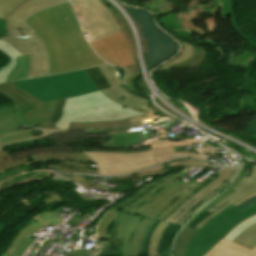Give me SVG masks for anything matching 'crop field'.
Masks as SVG:
<instances>
[{"label":"crop field","mask_w":256,"mask_h":256,"mask_svg":"<svg viewBox=\"0 0 256 256\" xmlns=\"http://www.w3.org/2000/svg\"><path fill=\"white\" fill-rule=\"evenodd\" d=\"M96 162L101 175H120L156 164L152 155L173 152V147L137 152L85 151Z\"/></svg>","instance_id":"crop-field-9"},{"label":"crop field","mask_w":256,"mask_h":256,"mask_svg":"<svg viewBox=\"0 0 256 256\" xmlns=\"http://www.w3.org/2000/svg\"><path fill=\"white\" fill-rule=\"evenodd\" d=\"M86 71L88 72L96 86L99 88V90L109 87L105 80L102 78V74L100 75L96 67L88 68L86 69Z\"/></svg>","instance_id":"crop-field-29"},{"label":"crop field","mask_w":256,"mask_h":256,"mask_svg":"<svg viewBox=\"0 0 256 256\" xmlns=\"http://www.w3.org/2000/svg\"><path fill=\"white\" fill-rule=\"evenodd\" d=\"M140 114L144 113L118 105L98 91L67 99L62 115L55 127L68 128L70 122L121 120Z\"/></svg>","instance_id":"crop-field-6"},{"label":"crop field","mask_w":256,"mask_h":256,"mask_svg":"<svg viewBox=\"0 0 256 256\" xmlns=\"http://www.w3.org/2000/svg\"><path fill=\"white\" fill-rule=\"evenodd\" d=\"M251 179L256 180V165H253Z\"/></svg>","instance_id":"crop-field-42"},{"label":"crop field","mask_w":256,"mask_h":256,"mask_svg":"<svg viewBox=\"0 0 256 256\" xmlns=\"http://www.w3.org/2000/svg\"><path fill=\"white\" fill-rule=\"evenodd\" d=\"M33 241L34 240L26 237L17 244L12 255L6 253V255L3 254V256H21Z\"/></svg>","instance_id":"crop-field-33"},{"label":"crop field","mask_w":256,"mask_h":256,"mask_svg":"<svg viewBox=\"0 0 256 256\" xmlns=\"http://www.w3.org/2000/svg\"><path fill=\"white\" fill-rule=\"evenodd\" d=\"M131 126L128 119L121 121H111L106 123H71L69 128L80 129H106Z\"/></svg>","instance_id":"crop-field-21"},{"label":"crop field","mask_w":256,"mask_h":256,"mask_svg":"<svg viewBox=\"0 0 256 256\" xmlns=\"http://www.w3.org/2000/svg\"><path fill=\"white\" fill-rule=\"evenodd\" d=\"M25 0H3L0 3V18L5 19L9 13Z\"/></svg>","instance_id":"crop-field-28"},{"label":"crop field","mask_w":256,"mask_h":256,"mask_svg":"<svg viewBox=\"0 0 256 256\" xmlns=\"http://www.w3.org/2000/svg\"><path fill=\"white\" fill-rule=\"evenodd\" d=\"M190 61H192V59H189V60H187V61H185V62H183V63H180V64L173 65V66H171V67L165 68V70L179 67V66L184 65L185 63H188V62H190Z\"/></svg>","instance_id":"crop-field-41"},{"label":"crop field","mask_w":256,"mask_h":256,"mask_svg":"<svg viewBox=\"0 0 256 256\" xmlns=\"http://www.w3.org/2000/svg\"><path fill=\"white\" fill-rule=\"evenodd\" d=\"M253 251H255V252H256V247L253 249Z\"/></svg>","instance_id":"crop-field-44"},{"label":"crop field","mask_w":256,"mask_h":256,"mask_svg":"<svg viewBox=\"0 0 256 256\" xmlns=\"http://www.w3.org/2000/svg\"><path fill=\"white\" fill-rule=\"evenodd\" d=\"M195 165V167L209 166L208 162L201 160H193V159H180L175 161H170L168 163L163 164L164 168H174L177 166H191Z\"/></svg>","instance_id":"crop-field-26"},{"label":"crop field","mask_w":256,"mask_h":256,"mask_svg":"<svg viewBox=\"0 0 256 256\" xmlns=\"http://www.w3.org/2000/svg\"><path fill=\"white\" fill-rule=\"evenodd\" d=\"M55 213H42L38 216H36L34 219L39 221L40 223L44 224L45 226L48 225V224H52L53 226H55V224H59L58 223V220L53 218L52 216L54 215Z\"/></svg>","instance_id":"crop-field-34"},{"label":"crop field","mask_w":256,"mask_h":256,"mask_svg":"<svg viewBox=\"0 0 256 256\" xmlns=\"http://www.w3.org/2000/svg\"><path fill=\"white\" fill-rule=\"evenodd\" d=\"M168 224L169 223H166V222H160L158 227L155 229L151 238V242L148 250V256H159L156 254L158 243H159L162 232L164 231V229L167 227Z\"/></svg>","instance_id":"crop-field-25"},{"label":"crop field","mask_w":256,"mask_h":256,"mask_svg":"<svg viewBox=\"0 0 256 256\" xmlns=\"http://www.w3.org/2000/svg\"><path fill=\"white\" fill-rule=\"evenodd\" d=\"M256 204V193L243 199L242 201L238 202L236 206L238 209H240L241 211Z\"/></svg>","instance_id":"crop-field-35"},{"label":"crop field","mask_w":256,"mask_h":256,"mask_svg":"<svg viewBox=\"0 0 256 256\" xmlns=\"http://www.w3.org/2000/svg\"><path fill=\"white\" fill-rule=\"evenodd\" d=\"M183 44V51H182V54L180 56H178L176 59H174L173 61H171L169 64H166L164 67H162L161 69L167 67V66H171L173 64H176V63H180L184 60H187L191 57V52H192V46L190 45H187L185 43H182ZM160 70V69H159ZM158 71V70H156ZM155 71V72H156Z\"/></svg>","instance_id":"crop-field-31"},{"label":"crop field","mask_w":256,"mask_h":256,"mask_svg":"<svg viewBox=\"0 0 256 256\" xmlns=\"http://www.w3.org/2000/svg\"><path fill=\"white\" fill-rule=\"evenodd\" d=\"M46 195H49V197L47 199H45V201L47 203H50V202L55 201V200H57V201L62 200V198L60 196H57V195H52V194H46Z\"/></svg>","instance_id":"crop-field-40"},{"label":"crop field","mask_w":256,"mask_h":256,"mask_svg":"<svg viewBox=\"0 0 256 256\" xmlns=\"http://www.w3.org/2000/svg\"><path fill=\"white\" fill-rule=\"evenodd\" d=\"M256 214V205L239 211L234 206L212 218L189 242L185 256H205L233 227Z\"/></svg>","instance_id":"crop-field-8"},{"label":"crop field","mask_w":256,"mask_h":256,"mask_svg":"<svg viewBox=\"0 0 256 256\" xmlns=\"http://www.w3.org/2000/svg\"><path fill=\"white\" fill-rule=\"evenodd\" d=\"M33 164L30 157L12 161L7 151L0 153V174L18 166Z\"/></svg>","instance_id":"crop-field-23"},{"label":"crop field","mask_w":256,"mask_h":256,"mask_svg":"<svg viewBox=\"0 0 256 256\" xmlns=\"http://www.w3.org/2000/svg\"><path fill=\"white\" fill-rule=\"evenodd\" d=\"M31 96L46 102L98 91L85 69L45 78L12 82Z\"/></svg>","instance_id":"crop-field-7"},{"label":"crop field","mask_w":256,"mask_h":256,"mask_svg":"<svg viewBox=\"0 0 256 256\" xmlns=\"http://www.w3.org/2000/svg\"><path fill=\"white\" fill-rule=\"evenodd\" d=\"M206 51H204L202 48H199V55L198 57H196V59L191 62V63H188L184 66H193V67H196V66H199L201 63H203L205 57H206Z\"/></svg>","instance_id":"crop-field-37"},{"label":"crop field","mask_w":256,"mask_h":256,"mask_svg":"<svg viewBox=\"0 0 256 256\" xmlns=\"http://www.w3.org/2000/svg\"><path fill=\"white\" fill-rule=\"evenodd\" d=\"M54 158H66L78 161H88L93 162L85 153L79 152H63V153H55V154H44L39 156L31 157L33 163L40 161H48Z\"/></svg>","instance_id":"crop-field-20"},{"label":"crop field","mask_w":256,"mask_h":256,"mask_svg":"<svg viewBox=\"0 0 256 256\" xmlns=\"http://www.w3.org/2000/svg\"><path fill=\"white\" fill-rule=\"evenodd\" d=\"M238 168H222L200 184L176 177L131 210V214L183 226L186 221L233 180Z\"/></svg>","instance_id":"crop-field-2"},{"label":"crop field","mask_w":256,"mask_h":256,"mask_svg":"<svg viewBox=\"0 0 256 256\" xmlns=\"http://www.w3.org/2000/svg\"><path fill=\"white\" fill-rule=\"evenodd\" d=\"M247 179H248L247 176L244 174V176L241 179V181L233 188V190H235L238 186H240Z\"/></svg>","instance_id":"crop-field-43"},{"label":"crop field","mask_w":256,"mask_h":256,"mask_svg":"<svg viewBox=\"0 0 256 256\" xmlns=\"http://www.w3.org/2000/svg\"><path fill=\"white\" fill-rule=\"evenodd\" d=\"M56 160H60V159H56ZM62 160H66V159H62ZM86 164L95 165L93 163L67 160V161L55 162L54 165H52L48 168L58 169L62 172L96 173V174H99L98 170L85 168Z\"/></svg>","instance_id":"crop-field-18"},{"label":"crop field","mask_w":256,"mask_h":256,"mask_svg":"<svg viewBox=\"0 0 256 256\" xmlns=\"http://www.w3.org/2000/svg\"><path fill=\"white\" fill-rule=\"evenodd\" d=\"M24 21L46 42L52 74L105 64L83 37L69 2L41 10Z\"/></svg>","instance_id":"crop-field-1"},{"label":"crop field","mask_w":256,"mask_h":256,"mask_svg":"<svg viewBox=\"0 0 256 256\" xmlns=\"http://www.w3.org/2000/svg\"><path fill=\"white\" fill-rule=\"evenodd\" d=\"M243 170L239 169V173L234 180V182L224 191L222 192L219 196L216 198L212 199L205 207H203L198 213H196L186 224V226H189L193 221H195L201 214H203L205 211H207L209 208H211L214 204H216L219 200L223 199L226 197L228 194H230L233 190H231L241 179L243 175Z\"/></svg>","instance_id":"crop-field-22"},{"label":"crop field","mask_w":256,"mask_h":256,"mask_svg":"<svg viewBox=\"0 0 256 256\" xmlns=\"http://www.w3.org/2000/svg\"><path fill=\"white\" fill-rule=\"evenodd\" d=\"M32 136V134L30 133V131L27 132H23V133H19V134H15V135H10V136H6V137H2L0 138V142H5V141H9V140H13V139H17V138H22V137H30Z\"/></svg>","instance_id":"crop-field-38"},{"label":"crop field","mask_w":256,"mask_h":256,"mask_svg":"<svg viewBox=\"0 0 256 256\" xmlns=\"http://www.w3.org/2000/svg\"><path fill=\"white\" fill-rule=\"evenodd\" d=\"M70 1L89 43L121 30L100 0Z\"/></svg>","instance_id":"crop-field-10"},{"label":"crop field","mask_w":256,"mask_h":256,"mask_svg":"<svg viewBox=\"0 0 256 256\" xmlns=\"http://www.w3.org/2000/svg\"><path fill=\"white\" fill-rule=\"evenodd\" d=\"M44 225L40 224L39 222L35 221V220H31L26 227L17 235V237L13 240V242L11 243V245L9 246V248L7 249V253L12 254L16 244L25 236H30L34 233H36L38 231V229L40 227H42Z\"/></svg>","instance_id":"crop-field-24"},{"label":"crop field","mask_w":256,"mask_h":256,"mask_svg":"<svg viewBox=\"0 0 256 256\" xmlns=\"http://www.w3.org/2000/svg\"><path fill=\"white\" fill-rule=\"evenodd\" d=\"M100 73L102 74L103 78L106 80V82L109 84L110 88L101 90L102 93H104L108 98H110L112 101L121 104L123 106L129 107V105L119 99H117L118 96L121 97H137L134 94L127 91L124 87L123 80L120 78L116 68L114 66L105 65V66H99L97 67ZM139 98V97H137ZM143 99V98H141ZM147 100V99H144ZM149 101V100H148ZM130 108V107H129Z\"/></svg>","instance_id":"crop-field-14"},{"label":"crop field","mask_w":256,"mask_h":256,"mask_svg":"<svg viewBox=\"0 0 256 256\" xmlns=\"http://www.w3.org/2000/svg\"><path fill=\"white\" fill-rule=\"evenodd\" d=\"M0 94L10 99L13 107H0V134L15 132V128L35 126L49 119L47 128H55V118L63 110L65 100H59L52 113L43 103L15 87L11 82L0 84Z\"/></svg>","instance_id":"crop-field-5"},{"label":"crop field","mask_w":256,"mask_h":256,"mask_svg":"<svg viewBox=\"0 0 256 256\" xmlns=\"http://www.w3.org/2000/svg\"><path fill=\"white\" fill-rule=\"evenodd\" d=\"M126 68V75H125V85L133 92L139 94L133 85L134 80L140 75L139 70L136 64L125 67ZM141 95V94H140Z\"/></svg>","instance_id":"crop-field-27"},{"label":"crop field","mask_w":256,"mask_h":256,"mask_svg":"<svg viewBox=\"0 0 256 256\" xmlns=\"http://www.w3.org/2000/svg\"><path fill=\"white\" fill-rule=\"evenodd\" d=\"M0 50L11 57V64L0 70V83L27 78L30 59L10 43L0 40Z\"/></svg>","instance_id":"crop-field-13"},{"label":"crop field","mask_w":256,"mask_h":256,"mask_svg":"<svg viewBox=\"0 0 256 256\" xmlns=\"http://www.w3.org/2000/svg\"><path fill=\"white\" fill-rule=\"evenodd\" d=\"M177 175H173L170 179H168L167 181H165L164 183H162L161 185H159L158 187L152 189L151 191H149L148 193H146L144 196H142L141 198H139L138 200H136L135 202H133L131 205H129L128 207H126L125 209L121 210L122 212H126L129 213L131 208L134 207L135 205H137L138 203H140L142 200H144L145 198H147L149 195H151L156 189H158L159 187H161L162 185H164L165 183H167L168 181H170L171 179H173L174 177H176Z\"/></svg>","instance_id":"crop-field-36"},{"label":"crop field","mask_w":256,"mask_h":256,"mask_svg":"<svg viewBox=\"0 0 256 256\" xmlns=\"http://www.w3.org/2000/svg\"><path fill=\"white\" fill-rule=\"evenodd\" d=\"M62 132H69V130H42L43 135L30 137V138L17 139V140H13V141H9V142L0 144V152L2 151V147L6 146V145L23 142V141H28V140H32V139H37V138H42V137H48L54 133H62Z\"/></svg>","instance_id":"crop-field-30"},{"label":"crop field","mask_w":256,"mask_h":256,"mask_svg":"<svg viewBox=\"0 0 256 256\" xmlns=\"http://www.w3.org/2000/svg\"><path fill=\"white\" fill-rule=\"evenodd\" d=\"M126 8L134 14L144 32L150 69L176 54L178 45L153 25L149 13L136 8Z\"/></svg>","instance_id":"crop-field-11"},{"label":"crop field","mask_w":256,"mask_h":256,"mask_svg":"<svg viewBox=\"0 0 256 256\" xmlns=\"http://www.w3.org/2000/svg\"><path fill=\"white\" fill-rule=\"evenodd\" d=\"M225 239L252 250L256 246V215L235 227Z\"/></svg>","instance_id":"crop-field-16"},{"label":"crop field","mask_w":256,"mask_h":256,"mask_svg":"<svg viewBox=\"0 0 256 256\" xmlns=\"http://www.w3.org/2000/svg\"><path fill=\"white\" fill-rule=\"evenodd\" d=\"M0 209H2V208H0Z\"/></svg>","instance_id":"crop-field-46"},{"label":"crop field","mask_w":256,"mask_h":256,"mask_svg":"<svg viewBox=\"0 0 256 256\" xmlns=\"http://www.w3.org/2000/svg\"><path fill=\"white\" fill-rule=\"evenodd\" d=\"M179 156H196V157H199V158L207 159V158L201 156L200 154L185 153V152L156 155V156H154V158H155L156 162L158 163V162L165 161V160L171 159L173 157H179Z\"/></svg>","instance_id":"crop-field-32"},{"label":"crop field","mask_w":256,"mask_h":256,"mask_svg":"<svg viewBox=\"0 0 256 256\" xmlns=\"http://www.w3.org/2000/svg\"><path fill=\"white\" fill-rule=\"evenodd\" d=\"M148 118H152V116H148V115L144 114V115H140V116H136V117H131V118H129V121H130L131 125L134 126V125L143 123L142 121L144 119H148Z\"/></svg>","instance_id":"crop-field-39"},{"label":"crop field","mask_w":256,"mask_h":256,"mask_svg":"<svg viewBox=\"0 0 256 256\" xmlns=\"http://www.w3.org/2000/svg\"><path fill=\"white\" fill-rule=\"evenodd\" d=\"M170 176L159 179L139 189L135 195L105 211L96 224V233H98V236L93 235L97 239H100L97 249L95 248L97 252L94 253L93 250L83 249L86 239L84 237L80 250H74L72 256H102L103 248L111 249V239L122 240V256H139L144 232L154 220L119 211L170 178Z\"/></svg>","instance_id":"crop-field-3"},{"label":"crop field","mask_w":256,"mask_h":256,"mask_svg":"<svg viewBox=\"0 0 256 256\" xmlns=\"http://www.w3.org/2000/svg\"><path fill=\"white\" fill-rule=\"evenodd\" d=\"M196 230L186 226L182 228L175 240L172 256H184L185 248Z\"/></svg>","instance_id":"crop-field-19"},{"label":"crop field","mask_w":256,"mask_h":256,"mask_svg":"<svg viewBox=\"0 0 256 256\" xmlns=\"http://www.w3.org/2000/svg\"><path fill=\"white\" fill-rule=\"evenodd\" d=\"M206 256H256V253L222 239Z\"/></svg>","instance_id":"crop-field-17"},{"label":"crop field","mask_w":256,"mask_h":256,"mask_svg":"<svg viewBox=\"0 0 256 256\" xmlns=\"http://www.w3.org/2000/svg\"><path fill=\"white\" fill-rule=\"evenodd\" d=\"M2 0H0V2H1Z\"/></svg>","instance_id":"crop-field-45"},{"label":"crop field","mask_w":256,"mask_h":256,"mask_svg":"<svg viewBox=\"0 0 256 256\" xmlns=\"http://www.w3.org/2000/svg\"><path fill=\"white\" fill-rule=\"evenodd\" d=\"M65 1L68 0H27L13 10L5 19L7 21L6 30L8 36L1 37L0 39L10 42L24 54L30 55L31 66L28 78L49 75L51 74V69L44 41L35 32L26 35V39L21 37V35L32 32L22 20L42 8Z\"/></svg>","instance_id":"crop-field-4"},{"label":"crop field","mask_w":256,"mask_h":256,"mask_svg":"<svg viewBox=\"0 0 256 256\" xmlns=\"http://www.w3.org/2000/svg\"><path fill=\"white\" fill-rule=\"evenodd\" d=\"M256 192V182L248 179L244 182L239 188H237L233 193L228 195L223 200L219 201L216 205H214L208 212L212 213L208 217L204 218L195 228H202L212 217L217 215L219 212L230 206L231 204H235L246 196L253 194ZM216 209V211H213Z\"/></svg>","instance_id":"crop-field-15"},{"label":"crop field","mask_w":256,"mask_h":256,"mask_svg":"<svg viewBox=\"0 0 256 256\" xmlns=\"http://www.w3.org/2000/svg\"><path fill=\"white\" fill-rule=\"evenodd\" d=\"M90 45L101 58L114 66L125 67L135 63L122 31Z\"/></svg>","instance_id":"crop-field-12"}]
</instances>
